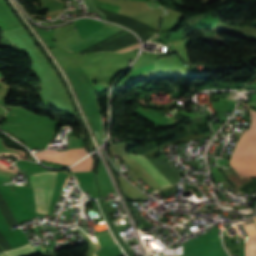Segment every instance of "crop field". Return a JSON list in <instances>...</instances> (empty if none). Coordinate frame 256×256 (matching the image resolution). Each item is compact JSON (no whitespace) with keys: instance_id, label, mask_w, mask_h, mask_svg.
Listing matches in <instances>:
<instances>
[{"instance_id":"crop-field-1","label":"crop field","mask_w":256,"mask_h":256,"mask_svg":"<svg viewBox=\"0 0 256 256\" xmlns=\"http://www.w3.org/2000/svg\"><path fill=\"white\" fill-rule=\"evenodd\" d=\"M56 172H41L30 175L36 209L48 214Z\"/></svg>"},{"instance_id":"crop-field-2","label":"crop field","mask_w":256,"mask_h":256,"mask_svg":"<svg viewBox=\"0 0 256 256\" xmlns=\"http://www.w3.org/2000/svg\"><path fill=\"white\" fill-rule=\"evenodd\" d=\"M123 31L125 30L106 23L105 26H103L97 32L64 48V50L74 54H82L83 52L102 44L106 40L116 36Z\"/></svg>"},{"instance_id":"crop-field-3","label":"crop field","mask_w":256,"mask_h":256,"mask_svg":"<svg viewBox=\"0 0 256 256\" xmlns=\"http://www.w3.org/2000/svg\"><path fill=\"white\" fill-rule=\"evenodd\" d=\"M251 126L244 132L234 150V154L250 160L256 151V111L250 109Z\"/></svg>"},{"instance_id":"crop-field-4","label":"crop field","mask_w":256,"mask_h":256,"mask_svg":"<svg viewBox=\"0 0 256 256\" xmlns=\"http://www.w3.org/2000/svg\"><path fill=\"white\" fill-rule=\"evenodd\" d=\"M39 160H45L50 162H56L59 164L70 165L85 155H87L86 151L83 147L81 148H74L69 149L66 152H57V151H50L46 150L44 152H40L36 154Z\"/></svg>"},{"instance_id":"crop-field-5","label":"crop field","mask_w":256,"mask_h":256,"mask_svg":"<svg viewBox=\"0 0 256 256\" xmlns=\"http://www.w3.org/2000/svg\"><path fill=\"white\" fill-rule=\"evenodd\" d=\"M132 155V154H131ZM135 160L140 163L144 169L149 172L154 179L158 182V184L164 188L172 185L163 175L162 173L145 157L142 155H132Z\"/></svg>"},{"instance_id":"crop-field-6","label":"crop field","mask_w":256,"mask_h":256,"mask_svg":"<svg viewBox=\"0 0 256 256\" xmlns=\"http://www.w3.org/2000/svg\"><path fill=\"white\" fill-rule=\"evenodd\" d=\"M43 253H45V252L41 245L37 246L33 249L31 247V245L28 244L22 248L7 252L6 254L8 256H35V255H39V254H43Z\"/></svg>"},{"instance_id":"crop-field-7","label":"crop field","mask_w":256,"mask_h":256,"mask_svg":"<svg viewBox=\"0 0 256 256\" xmlns=\"http://www.w3.org/2000/svg\"><path fill=\"white\" fill-rule=\"evenodd\" d=\"M248 236V256H256V227L255 225L246 227Z\"/></svg>"},{"instance_id":"crop-field-8","label":"crop field","mask_w":256,"mask_h":256,"mask_svg":"<svg viewBox=\"0 0 256 256\" xmlns=\"http://www.w3.org/2000/svg\"><path fill=\"white\" fill-rule=\"evenodd\" d=\"M92 169V157L89 156L77 165L70 168L71 172H82V171H91Z\"/></svg>"},{"instance_id":"crop-field-9","label":"crop field","mask_w":256,"mask_h":256,"mask_svg":"<svg viewBox=\"0 0 256 256\" xmlns=\"http://www.w3.org/2000/svg\"><path fill=\"white\" fill-rule=\"evenodd\" d=\"M199 138H205V135H190V136H187V137H185V138L178 139V140H176V141H174V142L165 144V145H163V146H161V147H158V148H156V149H152V150H150V151L144 153L143 155L154 156V155L156 154V152H157L160 148H162V147H164V146H166V145L175 144V143H179V142H185V141L196 140V139H199Z\"/></svg>"},{"instance_id":"crop-field-10","label":"crop field","mask_w":256,"mask_h":256,"mask_svg":"<svg viewBox=\"0 0 256 256\" xmlns=\"http://www.w3.org/2000/svg\"><path fill=\"white\" fill-rule=\"evenodd\" d=\"M177 115H183V116H189V117H193L195 116L194 114H187V113H180V112H176Z\"/></svg>"},{"instance_id":"crop-field-11","label":"crop field","mask_w":256,"mask_h":256,"mask_svg":"<svg viewBox=\"0 0 256 256\" xmlns=\"http://www.w3.org/2000/svg\"><path fill=\"white\" fill-rule=\"evenodd\" d=\"M0 256H6L5 253H1Z\"/></svg>"},{"instance_id":"crop-field-12","label":"crop field","mask_w":256,"mask_h":256,"mask_svg":"<svg viewBox=\"0 0 256 256\" xmlns=\"http://www.w3.org/2000/svg\"><path fill=\"white\" fill-rule=\"evenodd\" d=\"M3 78V75L0 73V79H2Z\"/></svg>"}]
</instances>
